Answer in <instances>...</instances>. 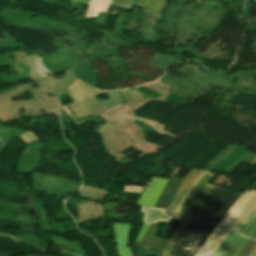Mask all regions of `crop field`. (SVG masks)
<instances>
[{
	"mask_svg": "<svg viewBox=\"0 0 256 256\" xmlns=\"http://www.w3.org/2000/svg\"><path fill=\"white\" fill-rule=\"evenodd\" d=\"M213 177V174L209 172H204L203 175L199 178V180L195 183L189 193L186 195L182 203L178 208V212L184 214V212L188 209V207L192 204V202L196 199V197L200 194V192L204 189V187L208 184L210 179ZM215 187L207 185L206 188L202 191V193L197 197V199L193 202V204L186 211L185 215L189 217H193V215L197 212L203 202L208 198V196L213 192ZM226 190L220 187H217L215 191L210 195V197L205 201V203L201 206L198 212L195 214L193 219L200 220L205 217V215L209 212V210L214 206V204L219 200V198L224 194ZM242 194V193H241ZM241 194H232L229 191H226L225 194L220 198V200L215 204V206L210 210L207 216L204 218L203 222H207L212 224L217 216L221 213L227 203L228 205L222 211V213L218 216L213 224L217 225L218 222L222 219L228 209L233 205V203L238 199Z\"/></svg>",
	"mask_w": 256,
	"mask_h": 256,
	"instance_id": "1",
	"label": "crop field"
},
{
	"mask_svg": "<svg viewBox=\"0 0 256 256\" xmlns=\"http://www.w3.org/2000/svg\"><path fill=\"white\" fill-rule=\"evenodd\" d=\"M199 224V221L191 219L189 224L186 226L184 231L182 232L181 236L177 240L176 244L174 245L173 249L171 250L169 256H178L181 249L183 248L185 242L187 241L188 237L191 235V233L194 231L196 226ZM210 224L202 223L198 225V227L195 229V231L192 233V235L189 237L188 241L186 242L184 248L182 249L179 256H188L191 251L194 249L196 244L202 239L204 234L209 229ZM214 225H211L209 231L207 234L203 237V239L199 242V244L195 247L193 252L190 256H195L202 244L206 241L211 231L214 229Z\"/></svg>",
	"mask_w": 256,
	"mask_h": 256,
	"instance_id": "2",
	"label": "crop field"
},
{
	"mask_svg": "<svg viewBox=\"0 0 256 256\" xmlns=\"http://www.w3.org/2000/svg\"><path fill=\"white\" fill-rule=\"evenodd\" d=\"M255 199V190L243 193L218 225L231 230L235 223L238 221V219L241 217V215L246 211V209L252 204Z\"/></svg>",
	"mask_w": 256,
	"mask_h": 256,
	"instance_id": "3",
	"label": "crop field"
},
{
	"mask_svg": "<svg viewBox=\"0 0 256 256\" xmlns=\"http://www.w3.org/2000/svg\"><path fill=\"white\" fill-rule=\"evenodd\" d=\"M203 172L204 171L190 170V172L184 178L183 182L176 191L171 202L169 203L167 207L168 210H177L179 204L181 203L187 192L190 190V188L194 185V183L198 180V178L202 175Z\"/></svg>",
	"mask_w": 256,
	"mask_h": 256,
	"instance_id": "4",
	"label": "crop field"
},
{
	"mask_svg": "<svg viewBox=\"0 0 256 256\" xmlns=\"http://www.w3.org/2000/svg\"><path fill=\"white\" fill-rule=\"evenodd\" d=\"M229 230L221 227H216L213 233L210 235L206 243L200 249L196 256H210L216 248L220 245L222 240L228 234Z\"/></svg>",
	"mask_w": 256,
	"mask_h": 256,
	"instance_id": "5",
	"label": "crop field"
},
{
	"mask_svg": "<svg viewBox=\"0 0 256 256\" xmlns=\"http://www.w3.org/2000/svg\"><path fill=\"white\" fill-rule=\"evenodd\" d=\"M182 179L170 177L169 181L167 182L165 189L161 196L159 197L155 207L166 209L168 203L170 202L171 198L173 197L176 189L180 185Z\"/></svg>",
	"mask_w": 256,
	"mask_h": 256,
	"instance_id": "6",
	"label": "crop field"
},
{
	"mask_svg": "<svg viewBox=\"0 0 256 256\" xmlns=\"http://www.w3.org/2000/svg\"><path fill=\"white\" fill-rule=\"evenodd\" d=\"M141 211L145 212L144 222H155L164 221L170 222L171 218L164 214L162 210L150 208V207H142Z\"/></svg>",
	"mask_w": 256,
	"mask_h": 256,
	"instance_id": "7",
	"label": "crop field"
},
{
	"mask_svg": "<svg viewBox=\"0 0 256 256\" xmlns=\"http://www.w3.org/2000/svg\"><path fill=\"white\" fill-rule=\"evenodd\" d=\"M166 0H143L140 7H144L143 10L152 13V15L161 17Z\"/></svg>",
	"mask_w": 256,
	"mask_h": 256,
	"instance_id": "8",
	"label": "crop field"
},
{
	"mask_svg": "<svg viewBox=\"0 0 256 256\" xmlns=\"http://www.w3.org/2000/svg\"><path fill=\"white\" fill-rule=\"evenodd\" d=\"M255 214H256V200L248 208V210L245 212L242 218L238 221V223L233 227L232 231L241 234L242 230L250 222V220L255 216Z\"/></svg>",
	"mask_w": 256,
	"mask_h": 256,
	"instance_id": "9",
	"label": "crop field"
},
{
	"mask_svg": "<svg viewBox=\"0 0 256 256\" xmlns=\"http://www.w3.org/2000/svg\"><path fill=\"white\" fill-rule=\"evenodd\" d=\"M110 0H91L86 16H97L98 12L106 11Z\"/></svg>",
	"mask_w": 256,
	"mask_h": 256,
	"instance_id": "10",
	"label": "crop field"
},
{
	"mask_svg": "<svg viewBox=\"0 0 256 256\" xmlns=\"http://www.w3.org/2000/svg\"><path fill=\"white\" fill-rule=\"evenodd\" d=\"M238 234L230 231L221 245L217 248V250L212 254V256H224L230 245L234 242L237 238ZM211 256V255H210Z\"/></svg>",
	"mask_w": 256,
	"mask_h": 256,
	"instance_id": "11",
	"label": "crop field"
},
{
	"mask_svg": "<svg viewBox=\"0 0 256 256\" xmlns=\"http://www.w3.org/2000/svg\"><path fill=\"white\" fill-rule=\"evenodd\" d=\"M247 240H248V238L239 235V237L236 239V241L230 247V249L225 254V256H237V254L240 252V250L242 249L244 244L247 242Z\"/></svg>",
	"mask_w": 256,
	"mask_h": 256,
	"instance_id": "12",
	"label": "crop field"
},
{
	"mask_svg": "<svg viewBox=\"0 0 256 256\" xmlns=\"http://www.w3.org/2000/svg\"><path fill=\"white\" fill-rule=\"evenodd\" d=\"M255 247L256 241L249 239L248 242L243 247V249L241 250V252L238 254V256H250Z\"/></svg>",
	"mask_w": 256,
	"mask_h": 256,
	"instance_id": "13",
	"label": "crop field"
},
{
	"mask_svg": "<svg viewBox=\"0 0 256 256\" xmlns=\"http://www.w3.org/2000/svg\"><path fill=\"white\" fill-rule=\"evenodd\" d=\"M140 1L141 0H112L111 4L131 8V5L138 6Z\"/></svg>",
	"mask_w": 256,
	"mask_h": 256,
	"instance_id": "14",
	"label": "crop field"
},
{
	"mask_svg": "<svg viewBox=\"0 0 256 256\" xmlns=\"http://www.w3.org/2000/svg\"><path fill=\"white\" fill-rule=\"evenodd\" d=\"M255 231H256V216L252 219V221L244 229V231L242 232V235L251 237Z\"/></svg>",
	"mask_w": 256,
	"mask_h": 256,
	"instance_id": "15",
	"label": "crop field"
},
{
	"mask_svg": "<svg viewBox=\"0 0 256 256\" xmlns=\"http://www.w3.org/2000/svg\"><path fill=\"white\" fill-rule=\"evenodd\" d=\"M165 213H166L167 215H169V216H172V217H173L174 214H175L174 212H170V211H167V210H165Z\"/></svg>",
	"mask_w": 256,
	"mask_h": 256,
	"instance_id": "16",
	"label": "crop field"
},
{
	"mask_svg": "<svg viewBox=\"0 0 256 256\" xmlns=\"http://www.w3.org/2000/svg\"><path fill=\"white\" fill-rule=\"evenodd\" d=\"M73 1H83V2H86V3L89 2V0H71L70 2H73Z\"/></svg>",
	"mask_w": 256,
	"mask_h": 256,
	"instance_id": "17",
	"label": "crop field"
},
{
	"mask_svg": "<svg viewBox=\"0 0 256 256\" xmlns=\"http://www.w3.org/2000/svg\"><path fill=\"white\" fill-rule=\"evenodd\" d=\"M251 256H256V248H255L254 252L251 254Z\"/></svg>",
	"mask_w": 256,
	"mask_h": 256,
	"instance_id": "18",
	"label": "crop field"
},
{
	"mask_svg": "<svg viewBox=\"0 0 256 256\" xmlns=\"http://www.w3.org/2000/svg\"><path fill=\"white\" fill-rule=\"evenodd\" d=\"M252 238L256 239V232L254 233V235L252 236Z\"/></svg>",
	"mask_w": 256,
	"mask_h": 256,
	"instance_id": "19",
	"label": "crop field"
},
{
	"mask_svg": "<svg viewBox=\"0 0 256 256\" xmlns=\"http://www.w3.org/2000/svg\"><path fill=\"white\" fill-rule=\"evenodd\" d=\"M199 1H201V0H199Z\"/></svg>",
	"mask_w": 256,
	"mask_h": 256,
	"instance_id": "20",
	"label": "crop field"
},
{
	"mask_svg": "<svg viewBox=\"0 0 256 256\" xmlns=\"http://www.w3.org/2000/svg\"><path fill=\"white\" fill-rule=\"evenodd\" d=\"M254 1H256V0H254Z\"/></svg>",
	"mask_w": 256,
	"mask_h": 256,
	"instance_id": "21",
	"label": "crop field"
}]
</instances>
